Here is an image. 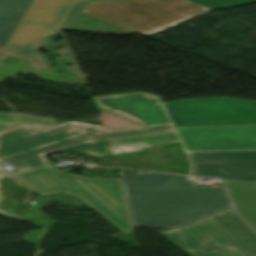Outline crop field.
I'll return each instance as SVG.
<instances>
[{"instance_id": "obj_1", "label": "crop field", "mask_w": 256, "mask_h": 256, "mask_svg": "<svg viewBox=\"0 0 256 256\" xmlns=\"http://www.w3.org/2000/svg\"><path fill=\"white\" fill-rule=\"evenodd\" d=\"M119 175L133 226L174 228L231 207L224 190L200 189L188 177Z\"/></svg>"}, {"instance_id": "obj_2", "label": "crop field", "mask_w": 256, "mask_h": 256, "mask_svg": "<svg viewBox=\"0 0 256 256\" xmlns=\"http://www.w3.org/2000/svg\"><path fill=\"white\" fill-rule=\"evenodd\" d=\"M99 111L117 112L147 128L112 131L79 129L64 123L56 126L16 125L0 130V158L84 133L94 139L174 130L159 97L135 93L94 99Z\"/></svg>"}, {"instance_id": "obj_3", "label": "crop field", "mask_w": 256, "mask_h": 256, "mask_svg": "<svg viewBox=\"0 0 256 256\" xmlns=\"http://www.w3.org/2000/svg\"><path fill=\"white\" fill-rule=\"evenodd\" d=\"M159 233L190 256H256V234L232 208Z\"/></svg>"}, {"instance_id": "obj_4", "label": "crop field", "mask_w": 256, "mask_h": 256, "mask_svg": "<svg viewBox=\"0 0 256 256\" xmlns=\"http://www.w3.org/2000/svg\"><path fill=\"white\" fill-rule=\"evenodd\" d=\"M15 176L40 195L63 191L77 196L123 233L133 230L119 179H89L53 171L50 167L31 169Z\"/></svg>"}, {"instance_id": "obj_5", "label": "crop field", "mask_w": 256, "mask_h": 256, "mask_svg": "<svg viewBox=\"0 0 256 256\" xmlns=\"http://www.w3.org/2000/svg\"><path fill=\"white\" fill-rule=\"evenodd\" d=\"M92 0H32L0 54L48 69L35 53L42 37L64 29Z\"/></svg>"}, {"instance_id": "obj_6", "label": "crop field", "mask_w": 256, "mask_h": 256, "mask_svg": "<svg viewBox=\"0 0 256 256\" xmlns=\"http://www.w3.org/2000/svg\"><path fill=\"white\" fill-rule=\"evenodd\" d=\"M208 10L188 0H125L92 2L83 13L144 35Z\"/></svg>"}, {"instance_id": "obj_7", "label": "crop field", "mask_w": 256, "mask_h": 256, "mask_svg": "<svg viewBox=\"0 0 256 256\" xmlns=\"http://www.w3.org/2000/svg\"><path fill=\"white\" fill-rule=\"evenodd\" d=\"M175 127L256 124V102L197 99L165 103Z\"/></svg>"}, {"instance_id": "obj_8", "label": "crop field", "mask_w": 256, "mask_h": 256, "mask_svg": "<svg viewBox=\"0 0 256 256\" xmlns=\"http://www.w3.org/2000/svg\"><path fill=\"white\" fill-rule=\"evenodd\" d=\"M177 142H179V140L174 131L99 141H93L86 138L84 135H80L34 150L0 159V164L3 166L8 165L13 169L11 173H17L33 167L48 165L44 155L67 148H72L97 157H101L111 155L112 153L110 146L115 145L134 143H143L146 145H164Z\"/></svg>"}, {"instance_id": "obj_9", "label": "crop field", "mask_w": 256, "mask_h": 256, "mask_svg": "<svg viewBox=\"0 0 256 256\" xmlns=\"http://www.w3.org/2000/svg\"><path fill=\"white\" fill-rule=\"evenodd\" d=\"M187 154L192 175L256 182V151Z\"/></svg>"}, {"instance_id": "obj_10", "label": "crop field", "mask_w": 256, "mask_h": 256, "mask_svg": "<svg viewBox=\"0 0 256 256\" xmlns=\"http://www.w3.org/2000/svg\"><path fill=\"white\" fill-rule=\"evenodd\" d=\"M176 129L186 151L256 148V126Z\"/></svg>"}, {"instance_id": "obj_11", "label": "crop field", "mask_w": 256, "mask_h": 256, "mask_svg": "<svg viewBox=\"0 0 256 256\" xmlns=\"http://www.w3.org/2000/svg\"><path fill=\"white\" fill-rule=\"evenodd\" d=\"M28 188L0 168V213L26 220Z\"/></svg>"}, {"instance_id": "obj_12", "label": "crop field", "mask_w": 256, "mask_h": 256, "mask_svg": "<svg viewBox=\"0 0 256 256\" xmlns=\"http://www.w3.org/2000/svg\"><path fill=\"white\" fill-rule=\"evenodd\" d=\"M236 193L241 207H235L237 212L256 231V183L229 180Z\"/></svg>"}, {"instance_id": "obj_13", "label": "crop field", "mask_w": 256, "mask_h": 256, "mask_svg": "<svg viewBox=\"0 0 256 256\" xmlns=\"http://www.w3.org/2000/svg\"><path fill=\"white\" fill-rule=\"evenodd\" d=\"M65 30L120 35L133 33L83 13H81Z\"/></svg>"}, {"instance_id": "obj_14", "label": "crop field", "mask_w": 256, "mask_h": 256, "mask_svg": "<svg viewBox=\"0 0 256 256\" xmlns=\"http://www.w3.org/2000/svg\"><path fill=\"white\" fill-rule=\"evenodd\" d=\"M31 0H0V19L19 20Z\"/></svg>"}, {"instance_id": "obj_15", "label": "crop field", "mask_w": 256, "mask_h": 256, "mask_svg": "<svg viewBox=\"0 0 256 256\" xmlns=\"http://www.w3.org/2000/svg\"><path fill=\"white\" fill-rule=\"evenodd\" d=\"M195 3H198L202 6H205L213 11L237 7L242 5H247L252 2H256V0H191Z\"/></svg>"}, {"instance_id": "obj_16", "label": "crop field", "mask_w": 256, "mask_h": 256, "mask_svg": "<svg viewBox=\"0 0 256 256\" xmlns=\"http://www.w3.org/2000/svg\"><path fill=\"white\" fill-rule=\"evenodd\" d=\"M17 22L0 21V47H3Z\"/></svg>"}, {"instance_id": "obj_17", "label": "crop field", "mask_w": 256, "mask_h": 256, "mask_svg": "<svg viewBox=\"0 0 256 256\" xmlns=\"http://www.w3.org/2000/svg\"><path fill=\"white\" fill-rule=\"evenodd\" d=\"M222 181H223V183H224V185H225V187H226V189H227V191H228V193H229L231 199L233 200L234 205H235V206H240V203H239V201H238V199H237L235 193L233 192V190H232V188H231V186H230L228 180H222Z\"/></svg>"}, {"instance_id": "obj_18", "label": "crop field", "mask_w": 256, "mask_h": 256, "mask_svg": "<svg viewBox=\"0 0 256 256\" xmlns=\"http://www.w3.org/2000/svg\"><path fill=\"white\" fill-rule=\"evenodd\" d=\"M7 126H11V125H0V128H4V127H7Z\"/></svg>"}]
</instances>
